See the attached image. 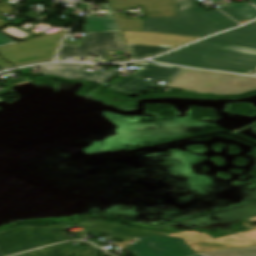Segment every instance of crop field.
Masks as SVG:
<instances>
[{
	"label": "crop field",
	"instance_id": "obj_1",
	"mask_svg": "<svg viewBox=\"0 0 256 256\" xmlns=\"http://www.w3.org/2000/svg\"><path fill=\"white\" fill-rule=\"evenodd\" d=\"M157 62L174 65L245 73L256 68V50L197 42L167 54Z\"/></svg>",
	"mask_w": 256,
	"mask_h": 256
},
{
	"label": "crop field",
	"instance_id": "obj_2",
	"mask_svg": "<svg viewBox=\"0 0 256 256\" xmlns=\"http://www.w3.org/2000/svg\"><path fill=\"white\" fill-rule=\"evenodd\" d=\"M126 44L178 47L218 32L176 17L143 18L142 32L122 31Z\"/></svg>",
	"mask_w": 256,
	"mask_h": 256
},
{
	"label": "crop field",
	"instance_id": "obj_3",
	"mask_svg": "<svg viewBox=\"0 0 256 256\" xmlns=\"http://www.w3.org/2000/svg\"><path fill=\"white\" fill-rule=\"evenodd\" d=\"M167 86L184 89L185 93L242 94L256 90V78L187 69Z\"/></svg>",
	"mask_w": 256,
	"mask_h": 256
},
{
	"label": "crop field",
	"instance_id": "obj_4",
	"mask_svg": "<svg viewBox=\"0 0 256 256\" xmlns=\"http://www.w3.org/2000/svg\"><path fill=\"white\" fill-rule=\"evenodd\" d=\"M67 227L23 226L0 232V252L3 256L66 241Z\"/></svg>",
	"mask_w": 256,
	"mask_h": 256
},
{
	"label": "crop field",
	"instance_id": "obj_5",
	"mask_svg": "<svg viewBox=\"0 0 256 256\" xmlns=\"http://www.w3.org/2000/svg\"><path fill=\"white\" fill-rule=\"evenodd\" d=\"M65 33L35 38L24 43L0 48V56L15 65L52 60V56Z\"/></svg>",
	"mask_w": 256,
	"mask_h": 256
},
{
	"label": "crop field",
	"instance_id": "obj_6",
	"mask_svg": "<svg viewBox=\"0 0 256 256\" xmlns=\"http://www.w3.org/2000/svg\"><path fill=\"white\" fill-rule=\"evenodd\" d=\"M105 50H126L119 31L87 33L81 47L62 45L57 60L72 56L81 61L92 54L99 56V62H105Z\"/></svg>",
	"mask_w": 256,
	"mask_h": 256
},
{
	"label": "crop field",
	"instance_id": "obj_7",
	"mask_svg": "<svg viewBox=\"0 0 256 256\" xmlns=\"http://www.w3.org/2000/svg\"><path fill=\"white\" fill-rule=\"evenodd\" d=\"M137 243L125 246L133 256H198L183 239L147 235L134 239Z\"/></svg>",
	"mask_w": 256,
	"mask_h": 256
},
{
	"label": "crop field",
	"instance_id": "obj_8",
	"mask_svg": "<svg viewBox=\"0 0 256 256\" xmlns=\"http://www.w3.org/2000/svg\"><path fill=\"white\" fill-rule=\"evenodd\" d=\"M178 20L223 30L238 25L219 10L206 11L197 6L177 13Z\"/></svg>",
	"mask_w": 256,
	"mask_h": 256
},
{
	"label": "crop field",
	"instance_id": "obj_9",
	"mask_svg": "<svg viewBox=\"0 0 256 256\" xmlns=\"http://www.w3.org/2000/svg\"><path fill=\"white\" fill-rule=\"evenodd\" d=\"M85 67L83 64H53L40 66L43 75H56L66 79H82L92 80L103 84L111 77L115 76V69L105 73H88L82 70Z\"/></svg>",
	"mask_w": 256,
	"mask_h": 256
},
{
	"label": "crop field",
	"instance_id": "obj_10",
	"mask_svg": "<svg viewBox=\"0 0 256 256\" xmlns=\"http://www.w3.org/2000/svg\"><path fill=\"white\" fill-rule=\"evenodd\" d=\"M204 41L256 49V24L252 23Z\"/></svg>",
	"mask_w": 256,
	"mask_h": 256
},
{
	"label": "crop field",
	"instance_id": "obj_11",
	"mask_svg": "<svg viewBox=\"0 0 256 256\" xmlns=\"http://www.w3.org/2000/svg\"><path fill=\"white\" fill-rule=\"evenodd\" d=\"M83 228L86 229L89 233H99V232H108L114 238H135L147 234H156V235H164L168 236L170 234L152 231V230H145V229H130L124 226L109 224L103 221H94L88 223H81Z\"/></svg>",
	"mask_w": 256,
	"mask_h": 256
},
{
	"label": "crop field",
	"instance_id": "obj_12",
	"mask_svg": "<svg viewBox=\"0 0 256 256\" xmlns=\"http://www.w3.org/2000/svg\"><path fill=\"white\" fill-rule=\"evenodd\" d=\"M166 0H110L109 4L114 13L119 10H126L135 6L146 7ZM149 17L176 16L175 2L162 4L148 8Z\"/></svg>",
	"mask_w": 256,
	"mask_h": 256
},
{
	"label": "crop field",
	"instance_id": "obj_13",
	"mask_svg": "<svg viewBox=\"0 0 256 256\" xmlns=\"http://www.w3.org/2000/svg\"><path fill=\"white\" fill-rule=\"evenodd\" d=\"M256 242L250 241L248 239L231 235L216 240L208 241L198 245L190 246V248L196 253H207L213 251L234 249L240 247L254 246Z\"/></svg>",
	"mask_w": 256,
	"mask_h": 256
},
{
	"label": "crop field",
	"instance_id": "obj_14",
	"mask_svg": "<svg viewBox=\"0 0 256 256\" xmlns=\"http://www.w3.org/2000/svg\"><path fill=\"white\" fill-rule=\"evenodd\" d=\"M75 250L76 248L71 243H63L31 251L18 256H69ZM76 254L77 256H96V250L93 247H89L77 250Z\"/></svg>",
	"mask_w": 256,
	"mask_h": 256
},
{
	"label": "crop field",
	"instance_id": "obj_15",
	"mask_svg": "<svg viewBox=\"0 0 256 256\" xmlns=\"http://www.w3.org/2000/svg\"><path fill=\"white\" fill-rule=\"evenodd\" d=\"M138 66H140L141 69L136 71L133 75L157 78L166 81L172 80L175 76L184 70L183 68L155 63L138 64Z\"/></svg>",
	"mask_w": 256,
	"mask_h": 256
},
{
	"label": "crop field",
	"instance_id": "obj_16",
	"mask_svg": "<svg viewBox=\"0 0 256 256\" xmlns=\"http://www.w3.org/2000/svg\"><path fill=\"white\" fill-rule=\"evenodd\" d=\"M107 14L104 18L88 16L83 26L85 32L119 30L113 18V11L109 4L102 5Z\"/></svg>",
	"mask_w": 256,
	"mask_h": 256
},
{
	"label": "crop field",
	"instance_id": "obj_17",
	"mask_svg": "<svg viewBox=\"0 0 256 256\" xmlns=\"http://www.w3.org/2000/svg\"><path fill=\"white\" fill-rule=\"evenodd\" d=\"M150 86H152V83L142 78L130 76L117 82L111 88L129 95H139Z\"/></svg>",
	"mask_w": 256,
	"mask_h": 256
},
{
	"label": "crop field",
	"instance_id": "obj_18",
	"mask_svg": "<svg viewBox=\"0 0 256 256\" xmlns=\"http://www.w3.org/2000/svg\"><path fill=\"white\" fill-rule=\"evenodd\" d=\"M127 46L134 59L143 57V56H147V57L155 56L173 49L168 47H151V46H135V45H127Z\"/></svg>",
	"mask_w": 256,
	"mask_h": 256
},
{
	"label": "crop field",
	"instance_id": "obj_19",
	"mask_svg": "<svg viewBox=\"0 0 256 256\" xmlns=\"http://www.w3.org/2000/svg\"><path fill=\"white\" fill-rule=\"evenodd\" d=\"M201 256H256V246L234 250L200 254Z\"/></svg>",
	"mask_w": 256,
	"mask_h": 256
},
{
	"label": "crop field",
	"instance_id": "obj_20",
	"mask_svg": "<svg viewBox=\"0 0 256 256\" xmlns=\"http://www.w3.org/2000/svg\"><path fill=\"white\" fill-rule=\"evenodd\" d=\"M116 19L122 30L141 31L142 20L127 19L126 15H116Z\"/></svg>",
	"mask_w": 256,
	"mask_h": 256
},
{
	"label": "crop field",
	"instance_id": "obj_21",
	"mask_svg": "<svg viewBox=\"0 0 256 256\" xmlns=\"http://www.w3.org/2000/svg\"><path fill=\"white\" fill-rule=\"evenodd\" d=\"M228 6L243 15L248 20L256 18V8L251 4L240 3L235 5L233 3H229Z\"/></svg>",
	"mask_w": 256,
	"mask_h": 256
},
{
	"label": "crop field",
	"instance_id": "obj_22",
	"mask_svg": "<svg viewBox=\"0 0 256 256\" xmlns=\"http://www.w3.org/2000/svg\"><path fill=\"white\" fill-rule=\"evenodd\" d=\"M217 1L221 0H214V2ZM197 5V0H176L177 12Z\"/></svg>",
	"mask_w": 256,
	"mask_h": 256
},
{
	"label": "crop field",
	"instance_id": "obj_23",
	"mask_svg": "<svg viewBox=\"0 0 256 256\" xmlns=\"http://www.w3.org/2000/svg\"><path fill=\"white\" fill-rule=\"evenodd\" d=\"M219 9L222 10L224 13H226L228 16L234 18L235 20H237L239 22L246 20L244 17H242L240 14H238L237 12H235L228 6L221 7Z\"/></svg>",
	"mask_w": 256,
	"mask_h": 256
},
{
	"label": "crop field",
	"instance_id": "obj_24",
	"mask_svg": "<svg viewBox=\"0 0 256 256\" xmlns=\"http://www.w3.org/2000/svg\"><path fill=\"white\" fill-rule=\"evenodd\" d=\"M236 235L248 238L250 240L256 241V229H254L251 232H247V233H238Z\"/></svg>",
	"mask_w": 256,
	"mask_h": 256
},
{
	"label": "crop field",
	"instance_id": "obj_25",
	"mask_svg": "<svg viewBox=\"0 0 256 256\" xmlns=\"http://www.w3.org/2000/svg\"><path fill=\"white\" fill-rule=\"evenodd\" d=\"M11 44H15V43L13 41H11L10 39H8L7 37L0 34V47H4L7 45H11Z\"/></svg>",
	"mask_w": 256,
	"mask_h": 256
},
{
	"label": "crop field",
	"instance_id": "obj_26",
	"mask_svg": "<svg viewBox=\"0 0 256 256\" xmlns=\"http://www.w3.org/2000/svg\"><path fill=\"white\" fill-rule=\"evenodd\" d=\"M0 65L4 68H7V67H12V65H10L9 63H7L6 61L2 60L0 58Z\"/></svg>",
	"mask_w": 256,
	"mask_h": 256
},
{
	"label": "crop field",
	"instance_id": "obj_27",
	"mask_svg": "<svg viewBox=\"0 0 256 256\" xmlns=\"http://www.w3.org/2000/svg\"><path fill=\"white\" fill-rule=\"evenodd\" d=\"M245 73H246V72H245ZM246 74L256 75V69H254V70H252V71H250V72H248V73H246Z\"/></svg>",
	"mask_w": 256,
	"mask_h": 256
},
{
	"label": "crop field",
	"instance_id": "obj_28",
	"mask_svg": "<svg viewBox=\"0 0 256 256\" xmlns=\"http://www.w3.org/2000/svg\"><path fill=\"white\" fill-rule=\"evenodd\" d=\"M251 2H253L256 5V0H250Z\"/></svg>",
	"mask_w": 256,
	"mask_h": 256
},
{
	"label": "crop field",
	"instance_id": "obj_29",
	"mask_svg": "<svg viewBox=\"0 0 256 256\" xmlns=\"http://www.w3.org/2000/svg\"><path fill=\"white\" fill-rule=\"evenodd\" d=\"M253 219H256V218H253ZM253 219H250V220H253Z\"/></svg>",
	"mask_w": 256,
	"mask_h": 256
},
{
	"label": "crop field",
	"instance_id": "obj_30",
	"mask_svg": "<svg viewBox=\"0 0 256 256\" xmlns=\"http://www.w3.org/2000/svg\"><path fill=\"white\" fill-rule=\"evenodd\" d=\"M0 69H2V67L0 66Z\"/></svg>",
	"mask_w": 256,
	"mask_h": 256
},
{
	"label": "crop field",
	"instance_id": "obj_31",
	"mask_svg": "<svg viewBox=\"0 0 256 256\" xmlns=\"http://www.w3.org/2000/svg\"><path fill=\"white\" fill-rule=\"evenodd\" d=\"M0 256H2V254L0 253Z\"/></svg>",
	"mask_w": 256,
	"mask_h": 256
},
{
	"label": "crop field",
	"instance_id": "obj_32",
	"mask_svg": "<svg viewBox=\"0 0 256 256\" xmlns=\"http://www.w3.org/2000/svg\"><path fill=\"white\" fill-rule=\"evenodd\" d=\"M254 23H256V22H254Z\"/></svg>",
	"mask_w": 256,
	"mask_h": 256
}]
</instances>
